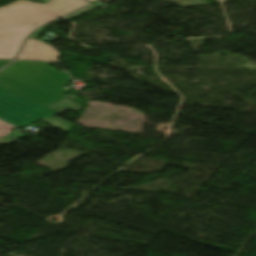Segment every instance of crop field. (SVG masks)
<instances>
[{
  "mask_svg": "<svg viewBox=\"0 0 256 256\" xmlns=\"http://www.w3.org/2000/svg\"><path fill=\"white\" fill-rule=\"evenodd\" d=\"M43 106L0 86V118L19 127L41 119L67 133L70 132L73 124L54 116L59 113Z\"/></svg>",
  "mask_w": 256,
  "mask_h": 256,
  "instance_id": "34b2d1b8",
  "label": "crop field"
},
{
  "mask_svg": "<svg viewBox=\"0 0 256 256\" xmlns=\"http://www.w3.org/2000/svg\"><path fill=\"white\" fill-rule=\"evenodd\" d=\"M8 62H10V61H0V68H1L2 66H4L5 64H7Z\"/></svg>",
  "mask_w": 256,
  "mask_h": 256,
  "instance_id": "dd49c442",
  "label": "crop field"
},
{
  "mask_svg": "<svg viewBox=\"0 0 256 256\" xmlns=\"http://www.w3.org/2000/svg\"><path fill=\"white\" fill-rule=\"evenodd\" d=\"M89 1L93 2V1H96V0H89Z\"/></svg>",
  "mask_w": 256,
  "mask_h": 256,
  "instance_id": "e52e79f7",
  "label": "crop field"
},
{
  "mask_svg": "<svg viewBox=\"0 0 256 256\" xmlns=\"http://www.w3.org/2000/svg\"><path fill=\"white\" fill-rule=\"evenodd\" d=\"M14 128V126L9 125L0 120V145L2 144H11L15 141L9 139L10 132Z\"/></svg>",
  "mask_w": 256,
  "mask_h": 256,
  "instance_id": "f4fd0767",
  "label": "crop field"
},
{
  "mask_svg": "<svg viewBox=\"0 0 256 256\" xmlns=\"http://www.w3.org/2000/svg\"><path fill=\"white\" fill-rule=\"evenodd\" d=\"M48 62L16 61L0 71V85L41 105L49 106L63 98L64 85L71 82Z\"/></svg>",
  "mask_w": 256,
  "mask_h": 256,
  "instance_id": "ac0d7876",
  "label": "crop field"
},
{
  "mask_svg": "<svg viewBox=\"0 0 256 256\" xmlns=\"http://www.w3.org/2000/svg\"><path fill=\"white\" fill-rule=\"evenodd\" d=\"M63 15L85 5V0H51L46 3ZM61 14L42 3L18 0L0 8V59H13L24 39L38 26Z\"/></svg>",
  "mask_w": 256,
  "mask_h": 256,
  "instance_id": "8a807250",
  "label": "crop field"
},
{
  "mask_svg": "<svg viewBox=\"0 0 256 256\" xmlns=\"http://www.w3.org/2000/svg\"><path fill=\"white\" fill-rule=\"evenodd\" d=\"M59 55L54 48L41 46L37 40L28 39L17 59L57 61Z\"/></svg>",
  "mask_w": 256,
  "mask_h": 256,
  "instance_id": "412701ff",
  "label": "crop field"
}]
</instances>
